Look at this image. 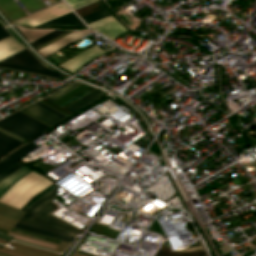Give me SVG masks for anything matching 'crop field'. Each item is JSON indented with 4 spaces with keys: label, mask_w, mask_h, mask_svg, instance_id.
I'll use <instances>...</instances> for the list:
<instances>
[{
    "label": "crop field",
    "mask_w": 256,
    "mask_h": 256,
    "mask_svg": "<svg viewBox=\"0 0 256 256\" xmlns=\"http://www.w3.org/2000/svg\"><path fill=\"white\" fill-rule=\"evenodd\" d=\"M51 183L45 177L32 171L10 187L0 197V202L20 209L28 200Z\"/></svg>",
    "instance_id": "8a807250"
},
{
    "label": "crop field",
    "mask_w": 256,
    "mask_h": 256,
    "mask_svg": "<svg viewBox=\"0 0 256 256\" xmlns=\"http://www.w3.org/2000/svg\"><path fill=\"white\" fill-rule=\"evenodd\" d=\"M0 127L29 140L43 132L49 126L37 121L27 114L17 111L1 119Z\"/></svg>",
    "instance_id": "ac0d7876"
},
{
    "label": "crop field",
    "mask_w": 256,
    "mask_h": 256,
    "mask_svg": "<svg viewBox=\"0 0 256 256\" xmlns=\"http://www.w3.org/2000/svg\"><path fill=\"white\" fill-rule=\"evenodd\" d=\"M0 67L35 72L54 78H59L62 76L57 72L44 68L42 64L32 55V53L27 48L0 62Z\"/></svg>",
    "instance_id": "34b2d1b8"
},
{
    "label": "crop field",
    "mask_w": 256,
    "mask_h": 256,
    "mask_svg": "<svg viewBox=\"0 0 256 256\" xmlns=\"http://www.w3.org/2000/svg\"><path fill=\"white\" fill-rule=\"evenodd\" d=\"M57 207L53 205L51 202L47 204L44 208H42L36 215H34L31 219L21 217L19 222L47 228L50 230L70 234L76 236V234L80 231L69 224L61 221L60 219L50 215Z\"/></svg>",
    "instance_id": "412701ff"
},
{
    "label": "crop field",
    "mask_w": 256,
    "mask_h": 256,
    "mask_svg": "<svg viewBox=\"0 0 256 256\" xmlns=\"http://www.w3.org/2000/svg\"><path fill=\"white\" fill-rule=\"evenodd\" d=\"M69 12H71L69 7H67L65 5V3H62L60 5L49 8L47 10H44L42 12H39V13L34 14L32 16H29L27 18L21 19L19 21L14 22V23L20 24V25H29V26L34 27V26H37L39 24H42L44 22H47L49 20H52L54 18H57V17L62 16L66 13H69Z\"/></svg>",
    "instance_id": "f4fd0767"
},
{
    "label": "crop field",
    "mask_w": 256,
    "mask_h": 256,
    "mask_svg": "<svg viewBox=\"0 0 256 256\" xmlns=\"http://www.w3.org/2000/svg\"><path fill=\"white\" fill-rule=\"evenodd\" d=\"M105 52H106L105 50H103L102 48H100L98 45L95 44L93 47L79 53L78 55L68 59L67 61L59 64L58 66L73 73L86 61Z\"/></svg>",
    "instance_id": "dd49c442"
},
{
    "label": "crop field",
    "mask_w": 256,
    "mask_h": 256,
    "mask_svg": "<svg viewBox=\"0 0 256 256\" xmlns=\"http://www.w3.org/2000/svg\"><path fill=\"white\" fill-rule=\"evenodd\" d=\"M11 245L17 246L16 249L20 250L22 252L34 255V256H59V254H56L52 251H48V250H44V249H40V248H36L33 246H29L23 243H19V242H10ZM17 250H13L7 247H4L2 249H0L1 252H5L11 255H15V256H31L25 253H22L20 251Z\"/></svg>",
    "instance_id": "e52e79f7"
},
{
    "label": "crop field",
    "mask_w": 256,
    "mask_h": 256,
    "mask_svg": "<svg viewBox=\"0 0 256 256\" xmlns=\"http://www.w3.org/2000/svg\"><path fill=\"white\" fill-rule=\"evenodd\" d=\"M91 33V31H75L39 50H37L42 56L46 57L47 55L57 51L58 49L68 45L69 43Z\"/></svg>",
    "instance_id": "d8731c3e"
},
{
    "label": "crop field",
    "mask_w": 256,
    "mask_h": 256,
    "mask_svg": "<svg viewBox=\"0 0 256 256\" xmlns=\"http://www.w3.org/2000/svg\"><path fill=\"white\" fill-rule=\"evenodd\" d=\"M37 27L82 28L84 27V24L73 12H71Z\"/></svg>",
    "instance_id": "5a996713"
},
{
    "label": "crop field",
    "mask_w": 256,
    "mask_h": 256,
    "mask_svg": "<svg viewBox=\"0 0 256 256\" xmlns=\"http://www.w3.org/2000/svg\"><path fill=\"white\" fill-rule=\"evenodd\" d=\"M23 110L33 114L34 116L52 124V125L55 124L56 122L60 121L61 119H63L60 116H58L57 114L49 111L48 109H46L36 103L23 108Z\"/></svg>",
    "instance_id": "3316defc"
},
{
    "label": "crop field",
    "mask_w": 256,
    "mask_h": 256,
    "mask_svg": "<svg viewBox=\"0 0 256 256\" xmlns=\"http://www.w3.org/2000/svg\"><path fill=\"white\" fill-rule=\"evenodd\" d=\"M38 145L34 143H29L17 150H15L12 154L8 155L4 159L0 161V173L4 171L6 168H8L10 165H12L14 162L17 160L21 159L24 157L26 154H28L29 151L33 150L36 148Z\"/></svg>",
    "instance_id": "28ad6ade"
},
{
    "label": "crop field",
    "mask_w": 256,
    "mask_h": 256,
    "mask_svg": "<svg viewBox=\"0 0 256 256\" xmlns=\"http://www.w3.org/2000/svg\"><path fill=\"white\" fill-rule=\"evenodd\" d=\"M60 187H55L45 195H43L41 198H39L36 202H34L32 205H30L26 211V213L23 215L24 217H32L35 213H37L42 207H44L47 203H49L51 200L55 199L60 194L56 193L55 191L59 189Z\"/></svg>",
    "instance_id": "d1516ede"
},
{
    "label": "crop field",
    "mask_w": 256,
    "mask_h": 256,
    "mask_svg": "<svg viewBox=\"0 0 256 256\" xmlns=\"http://www.w3.org/2000/svg\"><path fill=\"white\" fill-rule=\"evenodd\" d=\"M22 44L18 43L12 35L0 41V61L22 49Z\"/></svg>",
    "instance_id": "22f410ed"
},
{
    "label": "crop field",
    "mask_w": 256,
    "mask_h": 256,
    "mask_svg": "<svg viewBox=\"0 0 256 256\" xmlns=\"http://www.w3.org/2000/svg\"><path fill=\"white\" fill-rule=\"evenodd\" d=\"M14 227L23 229V230H27V231H31V232H35V233H39V234H43V235H47V236H51V237H55V238H59V239H63V240L69 241V242H72L74 239V236L46 230L43 228H39V227H35V226H31V225H27V224H23V223H19V222H17L14 225Z\"/></svg>",
    "instance_id": "cbeb9de0"
},
{
    "label": "crop field",
    "mask_w": 256,
    "mask_h": 256,
    "mask_svg": "<svg viewBox=\"0 0 256 256\" xmlns=\"http://www.w3.org/2000/svg\"><path fill=\"white\" fill-rule=\"evenodd\" d=\"M155 256H207L202 245L179 250L173 253L159 249Z\"/></svg>",
    "instance_id": "5142ce71"
},
{
    "label": "crop field",
    "mask_w": 256,
    "mask_h": 256,
    "mask_svg": "<svg viewBox=\"0 0 256 256\" xmlns=\"http://www.w3.org/2000/svg\"><path fill=\"white\" fill-rule=\"evenodd\" d=\"M103 94L100 90L97 88L87 94L86 96L80 98L79 100L75 101L74 103L68 105L67 107L63 108L71 113L79 110L80 108L84 107L87 103L93 101L94 99L100 97Z\"/></svg>",
    "instance_id": "d9b57169"
},
{
    "label": "crop field",
    "mask_w": 256,
    "mask_h": 256,
    "mask_svg": "<svg viewBox=\"0 0 256 256\" xmlns=\"http://www.w3.org/2000/svg\"><path fill=\"white\" fill-rule=\"evenodd\" d=\"M23 142L0 132V157L15 149Z\"/></svg>",
    "instance_id": "733c2abd"
},
{
    "label": "crop field",
    "mask_w": 256,
    "mask_h": 256,
    "mask_svg": "<svg viewBox=\"0 0 256 256\" xmlns=\"http://www.w3.org/2000/svg\"><path fill=\"white\" fill-rule=\"evenodd\" d=\"M30 169L27 167H22L18 171H16L14 174L9 176L8 178L4 179L2 182H0V196L10 187L12 186L17 180H19L21 177L29 173Z\"/></svg>",
    "instance_id": "4a817a6b"
},
{
    "label": "crop field",
    "mask_w": 256,
    "mask_h": 256,
    "mask_svg": "<svg viewBox=\"0 0 256 256\" xmlns=\"http://www.w3.org/2000/svg\"><path fill=\"white\" fill-rule=\"evenodd\" d=\"M95 30L101 32L111 40L114 39L118 34L126 31L118 21L105 25L103 27L97 28Z\"/></svg>",
    "instance_id": "bc2a9ffb"
},
{
    "label": "crop field",
    "mask_w": 256,
    "mask_h": 256,
    "mask_svg": "<svg viewBox=\"0 0 256 256\" xmlns=\"http://www.w3.org/2000/svg\"><path fill=\"white\" fill-rule=\"evenodd\" d=\"M18 31L26 38L28 42L31 40L51 31V30H32V29H25L19 26H15Z\"/></svg>",
    "instance_id": "214f88e0"
},
{
    "label": "crop field",
    "mask_w": 256,
    "mask_h": 256,
    "mask_svg": "<svg viewBox=\"0 0 256 256\" xmlns=\"http://www.w3.org/2000/svg\"><path fill=\"white\" fill-rule=\"evenodd\" d=\"M23 211L0 204V214L18 220Z\"/></svg>",
    "instance_id": "92a150f3"
},
{
    "label": "crop field",
    "mask_w": 256,
    "mask_h": 256,
    "mask_svg": "<svg viewBox=\"0 0 256 256\" xmlns=\"http://www.w3.org/2000/svg\"><path fill=\"white\" fill-rule=\"evenodd\" d=\"M111 15V13L109 12L108 9L104 8L102 10H99L97 12H94L92 14H89L87 16H84L82 17V19L84 20V22L86 24L90 23V22H93V21H96L98 19H101L103 17H106V16H109Z\"/></svg>",
    "instance_id": "dafd665d"
},
{
    "label": "crop field",
    "mask_w": 256,
    "mask_h": 256,
    "mask_svg": "<svg viewBox=\"0 0 256 256\" xmlns=\"http://www.w3.org/2000/svg\"><path fill=\"white\" fill-rule=\"evenodd\" d=\"M64 32H66V31L54 30V31H52V32H50V33H48V34H46V35H44V36L34 40V41H32L31 44L35 48V47H37V46H39V45H41V44L51 40L52 38H54V37H56V36H58V35H60V34H62Z\"/></svg>",
    "instance_id": "00972430"
},
{
    "label": "crop field",
    "mask_w": 256,
    "mask_h": 256,
    "mask_svg": "<svg viewBox=\"0 0 256 256\" xmlns=\"http://www.w3.org/2000/svg\"><path fill=\"white\" fill-rule=\"evenodd\" d=\"M75 84H77V85L72 87V88H70V89H68V90H66V91H64V92H62L63 90H65V89H67V88H69V87H71V86H73ZM80 84L81 83H78V82L75 81V82L67 85L66 87L60 89L59 91L55 92L54 94H52V95H50L48 97H45V98L52 102V101L56 100L57 98H59L60 96L64 95L65 93L69 92L70 90L74 89L75 87H77Z\"/></svg>",
    "instance_id": "a9b5d70f"
},
{
    "label": "crop field",
    "mask_w": 256,
    "mask_h": 256,
    "mask_svg": "<svg viewBox=\"0 0 256 256\" xmlns=\"http://www.w3.org/2000/svg\"><path fill=\"white\" fill-rule=\"evenodd\" d=\"M113 21H116V19L114 18L113 15L109 16V17H106V18H103L101 20H98L96 22H93V23H90L88 24V26L92 29L94 28H97L99 26H102V25H105V24H108V23H111Z\"/></svg>",
    "instance_id": "4177f3b9"
},
{
    "label": "crop field",
    "mask_w": 256,
    "mask_h": 256,
    "mask_svg": "<svg viewBox=\"0 0 256 256\" xmlns=\"http://www.w3.org/2000/svg\"><path fill=\"white\" fill-rule=\"evenodd\" d=\"M20 162L14 163L12 166H10L8 169H6L3 173L0 174V181L6 178L8 175H10L12 172H14L16 169H18L20 166H22Z\"/></svg>",
    "instance_id": "730fd06b"
},
{
    "label": "crop field",
    "mask_w": 256,
    "mask_h": 256,
    "mask_svg": "<svg viewBox=\"0 0 256 256\" xmlns=\"http://www.w3.org/2000/svg\"><path fill=\"white\" fill-rule=\"evenodd\" d=\"M9 235L14 236V238H18V239H21V240L29 241V242H32V243H36V244H39V245H43V246H47V247L56 249V245L44 243V242H41V241L25 238V237L14 235V234H10V233H9Z\"/></svg>",
    "instance_id": "eef30255"
},
{
    "label": "crop field",
    "mask_w": 256,
    "mask_h": 256,
    "mask_svg": "<svg viewBox=\"0 0 256 256\" xmlns=\"http://www.w3.org/2000/svg\"><path fill=\"white\" fill-rule=\"evenodd\" d=\"M0 219L1 220H5V221H9V222H13L15 223L16 220H13V219H10V218H7V217H4V216H1L0 215ZM0 220V228L4 229V230H9L10 227L13 225V223H9V222H5V221H1ZM12 228V227H11Z\"/></svg>",
    "instance_id": "ae1a2a85"
},
{
    "label": "crop field",
    "mask_w": 256,
    "mask_h": 256,
    "mask_svg": "<svg viewBox=\"0 0 256 256\" xmlns=\"http://www.w3.org/2000/svg\"><path fill=\"white\" fill-rule=\"evenodd\" d=\"M70 6L72 9L78 7V6H81L83 4H86L90 1H93V0H65Z\"/></svg>",
    "instance_id": "d3111659"
},
{
    "label": "crop field",
    "mask_w": 256,
    "mask_h": 256,
    "mask_svg": "<svg viewBox=\"0 0 256 256\" xmlns=\"http://www.w3.org/2000/svg\"><path fill=\"white\" fill-rule=\"evenodd\" d=\"M68 244H69V242H66V241L61 240V242L59 243V245H58L56 251L62 252V251L66 248V246H67Z\"/></svg>",
    "instance_id": "750c4746"
},
{
    "label": "crop field",
    "mask_w": 256,
    "mask_h": 256,
    "mask_svg": "<svg viewBox=\"0 0 256 256\" xmlns=\"http://www.w3.org/2000/svg\"><path fill=\"white\" fill-rule=\"evenodd\" d=\"M11 35L6 29L0 27V40Z\"/></svg>",
    "instance_id": "bd1437ed"
},
{
    "label": "crop field",
    "mask_w": 256,
    "mask_h": 256,
    "mask_svg": "<svg viewBox=\"0 0 256 256\" xmlns=\"http://www.w3.org/2000/svg\"><path fill=\"white\" fill-rule=\"evenodd\" d=\"M10 233H14V234H18V235H22V236H25V237H29V238H33V239H37V240H41V241H44V242H48V243H52V244H56L57 243H53V242H49V241H46V240H42V239H38V238H34V237H31V236H27V235H23V234H20V233H16V232H10Z\"/></svg>",
    "instance_id": "1d83c4d3"
},
{
    "label": "crop field",
    "mask_w": 256,
    "mask_h": 256,
    "mask_svg": "<svg viewBox=\"0 0 256 256\" xmlns=\"http://www.w3.org/2000/svg\"><path fill=\"white\" fill-rule=\"evenodd\" d=\"M0 131H1V132H4V133H6V134H9V135H11V136H13V137H15V138H18V139H20V140H22V141H24V139H22V138H20V137H18V136H16V135H14V134H12V133H10V132L4 130V129H2V128H0Z\"/></svg>",
    "instance_id": "120bbe31"
},
{
    "label": "crop field",
    "mask_w": 256,
    "mask_h": 256,
    "mask_svg": "<svg viewBox=\"0 0 256 256\" xmlns=\"http://www.w3.org/2000/svg\"><path fill=\"white\" fill-rule=\"evenodd\" d=\"M36 103H38V104H40V105H42V106H44V107H46V108H48V109H50V110L54 111L55 113H57L58 115L62 116L63 118H64V117H66V116H64V115L60 114L59 112H57V111L53 110L52 108H50V107H48V106H46V105H44V104H42V103H40V102H38V101H37Z\"/></svg>",
    "instance_id": "d32e631a"
},
{
    "label": "crop field",
    "mask_w": 256,
    "mask_h": 256,
    "mask_svg": "<svg viewBox=\"0 0 256 256\" xmlns=\"http://www.w3.org/2000/svg\"><path fill=\"white\" fill-rule=\"evenodd\" d=\"M12 239H13V240H17V241H21V240L14 239V238H12ZM21 242H25V241H21ZM25 243H29V242H25ZM29 244H32V243H29ZM32 245H36V244H32ZM36 246H39V245H36ZM39 247H43V246H39ZM43 248L50 249V248H47V247H43ZM50 250H53V251H54V249H50Z\"/></svg>",
    "instance_id": "5866460e"
},
{
    "label": "crop field",
    "mask_w": 256,
    "mask_h": 256,
    "mask_svg": "<svg viewBox=\"0 0 256 256\" xmlns=\"http://www.w3.org/2000/svg\"><path fill=\"white\" fill-rule=\"evenodd\" d=\"M7 243H8V241L0 239V244H7Z\"/></svg>",
    "instance_id": "028f5c9d"
},
{
    "label": "crop field",
    "mask_w": 256,
    "mask_h": 256,
    "mask_svg": "<svg viewBox=\"0 0 256 256\" xmlns=\"http://www.w3.org/2000/svg\"><path fill=\"white\" fill-rule=\"evenodd\" d=\"M72 256H84V255L74 253Z\"/></svg>",
    "instance_id": "e1f06a70"
},
{
    "label": "crop field",
    "mask_w": 256,
    "mask_h": 256,
    "mask_svg": "<svg viewBox=\"0 0 256 256\" xmlns=\"http://www.w3.org/2000/svg\"><path fill=\"white\" fill-rule=\"evenodd\" d=\"M0 256H5V255L0 254Z\"/></svg>",
    "instance_id": "0bd39190"
},
{
    "label": "crop field",
    "mask_w": 256,
    "mask_h": 256,
    "mask_svg": "<svg viewBox=\"0 0 256 256\" xmlns=\"http://www.w3.org/2000/svg\"><path fill=\"white\" fill-rule=\"evenodd\" d=\"M0 247H3V245H0Z\"/></svg>",
    "instance_id": "b80d0937"
},
{
    "label": "crop field",
    "mask_w": 256,
    "mask_h": 256,
    "mask_svg": "<svg viewBox=\"0 0 256 256\" xmlns=\"http://www.w3.org/2000/svg\"><path fill=\"white\" fill-rule=\"evenodd\" d=\"M3 254V253H2ZM5 255H7V254H5ZM8 256H10V255H8Z\"/></svg>",
    "instance_id": "c035e120"
}]
</instances>
